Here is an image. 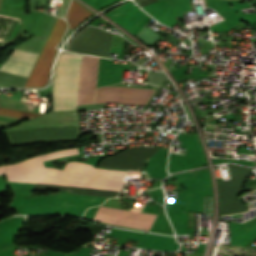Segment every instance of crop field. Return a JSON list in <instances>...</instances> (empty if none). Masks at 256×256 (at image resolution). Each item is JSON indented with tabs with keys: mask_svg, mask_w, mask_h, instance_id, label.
I'll list each match as a JSON object with an SVG mask.
<instances>
[{
	"mask_svg": "<svg viewBox=\"0 0 256 256\" xmlns=\"http://www.w3.org/2000/svg\"><path fill=\"white\" fill-rule=\"evenodd\" d=\"M77 148L31 158L14 165L0 167L9 181L46 185L119 191L129 171L92 168L89 164L69 162L62 170L44 168L42 161L76 154ZM11 208L20 214L81 215L87 207L102 203L105 198L54 194L29 197L31 191H14Z\"/></svg>",
	"mask_w": 256,
	"mask_h": 256,
	"instance_id": "8a807250",
	"label": "crop field"
},
{
	"mask_svg": "<svg viewBox=\"0 0 256 256\" xmlns=\"http://www.w3.org/2000/svg\"><path fill=\"white\" fill-rule=\"evenodd\" d=\"M98 59L60 55L53 83L54 111L76 110L77 104L93 103Z\"/></svg>",
	"mask_w": 256,
	"mask_h": 256,
	"instance_id": "ac0d7876",
	"label": "crop field"
},
{
	"mask_svg": "<svg viewBox=\"0 0 256 256\" xmlns=\"http://www.w3.org/2000/svg\"><path fill=\"white\" fill-rule=\"evenodd\" d=\"M66 28L67 24L58 18L25 86L40 87L46 84L50 65L56 52L55 46L59 43Z\"/></svg>",
	"mask_w": 256,
	"mask_h": 256,
	"instance_id": "34b2d1b8",
	"label": "crop field"
},
{
	"mask_svg": "<svg viewBox=\"0 0 256 256\" xmlns=\"http://www.w3.org/2000/svg\"><path fill=\"white\" fill-rule=\"evenodd\" d=\"M154 90L100 87L97 89L95 103L116 102L127 104H143L147 102Z\"/></svg>",
	"mask_w": 256,
	"mask_h": 256,
	"instance_id": "412701ff",
	"label": "crop field"
},
{
	"mask_svg": "<svg viewBox=\"0 0 256 256\" xmlns=\"http://www.w3.org/2000/svg\"><path fill=\"white\" fill-rule=\"evenodd\" d=\"M70 115H77V113L76 112L49 113L43 117L70 116ZM61 126H77V116L34 119L21 126L10 129L7 132L36 129V128L61 127Z\"/></svg>",
	"mask_w": 256,
	"mask_h": 256,
	"instance_id": "f4fd0767",
	"label": "crop field"
},
{
	"mask_svg": "<svg viewBox=\"0 0 256 256\" xmlns=\"http://www.w3.org/2000/svg\"><path fill=\"white\" fill-rule=\"evenodd\" d=\"M105 15L130 32L147 14L139 10L131 2H126Z\"/></svg>",
	"mask_w": 256,
	"mask_h": 256,
	"instance_id": "dd49c442",
	"label": "crop field"
},
{
	"mask_svg": "<svg viewBox=\"0 0 256 256\" xmlns=\"http://www.w3.org/2000/svg\"><path fill=\"white\" fill-rule=\"evenodd\" d=\"M37 56V53L14 49L11 57L9 56L10 58L8 60L33 65ZM9 61H6L4 65L0 68V70L28 76L33 67L31 65H25Z\"/></svg>",
	"mask_w": 256,
	"mask_h": 256,
	"instance_id": "e52e79f7",
	"label": "crop field"
},
{
	"mask_svg": "<svg viewBox=\"0 0 256 256\" xmlns=\"http://www.w3.org/2000/svg\"><path fill=\"white\" fill-rule=\"evenodd\" d=\"M23 221L24 217H11L0 222V250L14 246L12 240Z\"/></svg>",
	"mask_w": 256,
	"mask_h": 256,
	"instance_id": "d8731c3e",
	"label": "crop field"
},
{
	"mask_svg": "<svg viewBox=\"0 0 256 256\" xmlns=\"http://www.w3.org/2000/svg\"><path fill=\"white\" fill-rule=\"evenodd\" d=\"M92 13L78 2L71 0L69 10L66 16L70 28L74 29L82 20L86 19Z\"/></svg>",
	"mask_w": 256,
	"mask_h": 256,
	"instance_id": "5a996713",
	"label": "crop field"
},
{
	"mask_svg": "<svg viewBox=\"0 0 256 256\" xmlns=\"http://www.w3.org/2000/svg\"><path fill=\"white\" fill-rule=\"evenodd\" d=\"M0 115L32 119V118H35V117L40 116L42 114L41 113L18 111V110H13V109H7V108L0 107Z\"/></svg>",
	"mask_w": 256,
	"mask_h": 256,
	"instance_id": "3316defc",
	"label": "crop field"
}]
</instances>
